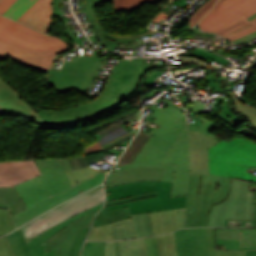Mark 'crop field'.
I'll list each match as a JSON object with an SVG mask.
<instances>
[{
  "label": "crop field",
  "instance_id": "7312dd0a",
  "mask_svg": "<svg viewBox=\"0 0 256 256\" xmlns=\"http://www.w3.org/2000/svg\"><path fill=\"white\" fill-rule=\"evenodd\" d=\"M166 99H168V98H166ZM173 98L171 97V98H169L168 100H171L172 102H173V100H172Z\"/></svg>",
  "mask_w": 256,
  "mask_h": 256
},
{
  "label": "crop field",
  "instance_id": "db79e9e6",
  "mask_svg": "<svg viewBox=\"0 0 256 256\" xmlns=\"http://www.w3.org/2000/svg\"><path fill=\"white\" fill-rule=\"evenodd\" d=\"M157 192L155 193H150V194H145V195H140V196H134V197H129V198H125V199H121V200H117V201H109L105 204L106 205H112V204H119V203H125V202H129V201H133V200H137V199H141V198H145V197H149V196H153L156 195Z\"/></svg>",
  "mask_w": 256,
  "mask_h": 256
},
{
  "label": "crop field",
  "instance_id": "92a150f3",
  "mask_svg": "<svg viewBox=\"0 0 256 256\" xmlns=\"http://www.w3.org/2000/svg\"><path fill=\"white\" fill-rule=\"evenodd\" d=\"M96 212L78 219L44 242L46 251L58 246L57 256H68L69 249L79 230L90 225Z\"/></svg>",
  "mask_w": 256,
  "mask_h": 256
},
{
  "label": "crop field",
  "instance_id": "ae1a2a85",
  "mask_svg": "<svg viewBox=\"0 0 256 256\" xmlns=\"http://www.w3.org/2000/svg\"><path fill=\"white\" fill-rule=\"evenodd\" d=\"M105 203V202H104ZM103 204V203H102ZM102 204L90 208L87 211L83 212V213H79L78 215L62 222L61 224L41 233L40 235L34 237L33 239H31L30 241H28V245L31 249L30 251V255L31 256H45V249H44V245L43 242L45 240H47L50 236L54 235L55 233H57L59 230H61L64 226L68 225L69 223L75 221L76 219H78L79 217L85 216L91 212H94L96 210H99L102 206ZM104 205V204H103Z\"/></svg>",
  "mask_w": 256,
  "mask_h": 256
},
{
  "label": "crop field",
  "instance_id": "f4fd0767",
  "mask_svg": "<svg viewBox=\"0 0 256 256\" xmlns=\"http://www.w3.org/2000/svg\"><path fill=\"white\" fill-rule=\"evenodd\" d=\"M100 50L93 49L91 57H74L73 62L65 61L61 70L51 68L46 73L47 83L58 93L76 90L83 94L89 89L96 72L107 59L98 58Z\"/></svg>",
  "mask_w": 256,
  "mask_h": 256
},
{
  "label": "crop field",
  "instance_id": "d1516ede",
  "mask_svg": "<svg viewBox=\"0 0 256 256\" xmlns=\"http://www.w3.org/2000/svg\"><path fill=\"white\" fill-rule=\"evenodd\" d=\"M163 163L177 164L171 197L186 195L189 179V136L186 129Z\"/></svg>",
  "mask_w": 256,
  "mask_h": 256
},
{
  "label": "crop field",
  "instance_id": "180be81f",
  "mask_svg": "<svg viewBox=\"0 0 256 256\" xmlns=\"http://www.w3.org/2000/svg\"><path fill=\"white\" fill-rule=\"evenodd\" d=\"M255 204H256V193H255Z\"/></svg>",
  "mask_w": 256,
  "mask_h": 256
},
{
  "label": "crop field",
  "instance_id": "1d83c4d3",
  "mask_svg": "<svg viewBox=\"0 0 256 256\" xmlns=\"http://www.w3.org/2000/svg\"><path fill=\"white\" fill-rule=\"evenodd\" d=\"M151 135L143 132L140 130L136 138L133 140V142L130 144V146L127 148L125 153L122 155V157L119 159L115 167L122 166L124 164L132 163L146 140Z\"/></svg>",
  "mask_w": 256,
  "mask_h": 256
},
{
  "label": "crop field",
  "instance_id": "d14b1444",
  "mask_svg": "<svg viewBox=\"0 0 256 256\" xmlns=\"http://www.w3.org/2000/svg\"><path fill=\"white\" fill-rule=\"evenodd\" d=\"M190 64H203V63L194 61V60H189V59H182L181 65H177V66H184V65H190Z\"/></svg>",
  "mask_w": 256,
  "mask_h": 256
},
{
  "label": "crop field",
  "instance_id": "34b2d1b8",
  "mask_svg": "<svg viewBox=\"0 0 256 256\" xmlns=\"http://www.w3.org/2000/svg\"><path fill=\"white\" fill-rule=\"evenodd\" d=\"M171 187L172 182L143 181L108 188L106 192L111 191V195H107V201L158 191L157 196L108 206V210L129 206L131 214H138L186 207V196L170 198Z\"/></svg>",
  "mask_w": 256,
  "mask_h": 256
},
{
  "label": "crop field",
  "instance_id": "5866460e",
  "mask_svg": "<svg viewBox=\"0 0 256 256\" xmlns=\"http://www.w3.org/2000/svg\"><path fill=\"white\" fill-rule=\"evenodd\" d=\"M160 256H177L174 232L156 237Z\"/></svg>",
  "mask_w": 256,
  "mask_h": 256
},
{
  "label": "crop field",
  "instance_id": "c035e120",
  "mask_svg": "<svg viewBox=\"0 0 256 256\" xmlns=\"http://www.w3.org/2000/svg\"><path fill=\"white\" fill-rule=\"evenodd\" d=\"M36 0H17L4 14L9 18L16 20L27 8H29Z\"/></svg>",
  "mask_w": 256,
  "mask_h": 256
},
{
  "label": "crop field",
  "instance_id": "425ffa30",
  "mask_svg": "<svg viewBox=\"0 0 256 256\" xmlns=\"http://www.w3.org/2000/svg\"><path fill=\"white\" fill-rule=\"evenodd\" d=\"M216 1L217 0H208L203 6L195 11L189 20V27L192 28L194 25L198 24L201 17L211 9Z\"/></svg>",
  "mask_w": 256,
  "mask_h": 256
},
{
  "label": "crop field",
  "instance_id": "ae633e8c",
  "mask_svg": "<svg viewBox=\"0 0 256 256\" xmlns=\"http://www.w3.org/2000/svg\"><path fill=\"white\" fill-rule=\"evenodd\" d=\"M253 25H254V24L249 23V24H247V25H245V26H243V27H241V28H239V29H237V30H235V31H233V32H231V33H229V34L223 36V37L226 38V37H228V36L234 35V34L240 32V31H243V30H245V29H247V28H249V27H251V26H253Z\"/></svg>",
  "mask_w": 256,
  "mask_h": 256
},
{
  "label": "crop field",
  "instance_id": "5a996713",
  "mask_svg": "<svg viewBox=\"0 0 256 256\" xmlns=\"http://www.w3.org/2000/svg\"><path fill=\"white\" fill-rule=\"evenodd\" d=\"M0 36L23 46L33 48H54L66 45L58 38L43 35L2 16H0ZM7 55L9 54L0 52V60Z\"/></svg>",
  "mask_w": 256,
  "mask_h": 256
},
{
  "label": "crop field",
  "instance_id": "8a807250",
  "mask_svg": "<svg viewBox=\"0 0 256 256\" xmlns=\"http://www.w3.org/2000/svg\"><path fill=\"white\" fill-rule=\"evenodd\" d=\"M164 66L167 65L144 64V58L123 60L114 66L102 93L93 101L63 110H42L38 113L48 125L88 120L108 112L134 92L147 71Z\"/></svg>",
  "mask_w": 256,
  "mask_h": 256
},
{
  "label": "crop field",
  "instance_id": "dafd665d",
  "mask_svg": "<svg viewBox=\"0 0 256 256\" xmlns=\"http://www.w3.org/2000/svg\"><path fill=\"white\" fill-rule=\"evenodd\" d=\"M240 231H242V248H240ZM216 244L225 245V249L256 248V229L216 228Z\"/></svg>",
  "mask_w": 256,
  "mask_h": 256
},
{
  "label": "crop field",
  "instance_id": "28ad6ade",
  "mask_svg": "<svg viewBox=\"0 0 256 256\" xmlns=\"http://www.w3.org/2000/svg\"><path fill=\"white\" fill-rule=\"evenodd\" d=\"M106 172L105 170L93 177H90L74 186H71L69 188H67L66 190L34 205L33 207L12 215V219L14 221V224L16 227L22 225L23 223L27 222L28 220L32 219L33 217H35L36 215L80 194L78 191H85L88 190L90 188H93L99 184L102 183L104 176H105Z\"/></svg>",
  "mask_w": 256,
  "mask_h": 256
},
{
  "label": "crop field",
  "instance_id": "a9b5d70f",
  "mask_svg": "<svg viewBox=\"0 0 256 256\" xmlns=\"http://www.w3.org/2000/svg\"><path fill=\"white\" fill-rule=\"evenodd\" d=\"M165 168L137 167L109 174L106 188L133 181L160 180Z\"/></svg>",
  "mask_w": 256,
  "mask_h": 256
},
{
  "label": "crop field",
  "instance_id": "e1f06a70",
  "mask_svg": "<svg viewBox=\"0 0 256 256\" xmlns=\"http://www.w3.org/2000/svg\"><path fill=\"white\" fill-rule=\"evenodd\" d=\"M7 238L17 256H29V247L19 229L7 235Z\"/></svg>",
  "mask_w": 256,
  "mask_h": 256
},
{
  "label": "crop field",
  "instance_id": "03da06ac",
  "mask_svg": "<svg viewBox=\"0 0 256 256\" xmlns=\"http://www.w3.org/2000/svg\"><path fill=\"white\" fill-rule=\"evenodd\" d=\"M114 238H136L132 223L112 226Z\"/></svg>",
  "mask_w": 256,
  "mask_h": 256
},
{
  "label": "crop field",
  "instance_id": "819c52e7",
  "mask_svg": "<svg viewBox=\"0 0 256 256\" xmlns=\"http://www.w3.org/2000/svg\"><path fill=\"white\" fill-rule=\"evenodd\" d=\"M2 0H0V2H1Z\"/></svg>",
  "mask_w": 256,
  "mask_h": 256
},
{
  "label": "crop field",
  "instance_id": "1d79db26",
  "mask_svg": "<svg viewBox=\"0 0 256 256\" xmlns=\"http://www.w3.org/2000/svg\"><path fill=\"white\" fill-rule=\"evenodd\" d=\"M0 256H15L6 236L0 238Z\"/></svg>",
  "mask_w": 256,
  "mask_h": 256
},
{
  "label": "crop field",
  "instance_id": "e1d0b9f6",
  "mask_svg": "<svg viewBox=\"0 0 256 256\" xmlns=\"http://www.w3.org/2000/svg\"><path fill=\"white\" fill-rule=\"evenodd\" d=\"M254 37H256V31H254V32H252V33H250L248 35H245V36H243L241 38H238V39H236V40H234L232 42H234L235 44H238V43H241L243 41H246V40L254 38Z\"/></svg>",
  "mask_w": 256,
  "mask_h": 256
},
{
  "label": "crop field",
  "instance_id": "ac0d7876",
  "mask_svg": "<svg viewBox=\"0 0 256 256\" xmlns=\"http://www.w3.org/2000/svg\"><path fill=\"white\" fill-rule=\"evenodd\" d=\"M231 178L190 174L187 191L188 227L207 226L212 206L227 198Z\"/></svg>",
  "mask_w": 256,
  "mask_h": 256
},
{
  "label": "crop field",
  "instance_id": "d9b57169",
  "mask_svg": "<svg viewBox=\"0 0 256 256\" xmlns=\"http://www.w3.org/2000/svg\"><path fill=\"white\" fill-rule=\"evenodd\" d=\"M8 83L0 77V108L3 112H13L47 125L38 113Z\"/></svg>",
  "mask_w": 256,
  "mask_h": 256
},
{
  "label": "crop field",
  "instance_id": "c5b07064",
  "mask_svg": "<svg viewBox=\"0 0 256 256\" xmlns=\"http://www.w3.org/2000/svg\"><path fill=\"white\" fill-rule=\"evenodd\" d=\"M56 251H57V248L49 251L46 253V256H56Z\"/></svg>",
  "mask_w": 256,
  "mask_h": 256
},
{
  "label": "crop field",
  "instance_id": "22f410ed",
  "mask_svg": "<svg viewBox=\"0 0 256 256\" xmlns=\"http://www.w3.org/2000/svg\"><path fill=\"white\" fill-rule=\"evenodd\" d=\"M256 12V0H229L210 16L200 22V29L213 32L232 20L243 16L248 17Z\"/></svg>",
  "mask_w": 256,
  "mask_h": 256
},
{
  "label": "crop field",
  "instance_id": "00972430",
  "mask_svg": "<svg viewBox=\"0 0 256 256\" xmlns=\"http://www.w3.org/2000/svg\"><path fill=\"white\" fill-rule=\"evenodd\" d=\"M151 146L145 144L132 164L119 167L120 169L118 170L132 168L136 166L166 167L161 180L172 181L176 165L161 164L164 158L166 157L167 153L160 151ZM118 170L115 168L111 172L118 171Z\"/></svg>",
  "mask_w": 256,
  "mask_h": 256
},
{
  "label": "crop field",
  "instance_id": "25e5ab78",
  "mask_svg": "<svg viewBox=\"0 0 256 256\" xmlns=\"http://www.w3.org/2000/svg\"><path fill=\"white\" fill-rule=\"evenodd\" d=\"M13 229H15V227L10 219L8 210L0 209V236Z\"/></svg>",
  "mask_w": 256,
  "mask_h": 256
},
{
  "label": "crop field",
  "instance_id": "f0312440",
  "mask_svg": "<svg viewBox=\"0 0 256 256\" xmlns=\"http://www.w3.org/2000/svg\"><path fill=\"white\" fill-rule=\"evenodd\" d=\"M177 106L182 107L181 104H179V105H177Z\"/></svg>",
  "mask_w": 256,
  "mask_h": 256
},
{
  "label": "crop field",
  "instance_id": "cbeb9de0",
  "mask_svg": "<svg viewBox=\"0 0 256 256\" xmlns=\"http://www.w3.org/2000/svg\"><path fill=\"white\" fill-rule=\"evenodd\" d=\"M150 109L155 111L153 116L158 118L154 123L161 127L149 133L152 136L146 143L169 153L183 130L187 128V124L154 107Z\"/></svg>",
  "mask_w": 256,
  "mask_h": 256
},
{
  "label": "crop field",
  "instance_id": "d8731c3e",
  "mask_svg": "<svg viewBox=\"0 0 256 256\" xmlns=\"http://www.w3.org/2000/svg\"><path fill=\"white\" fill-rule=\"evenodd\" d=\"M69 50H71L69 45L54 49L27 48L0 37V51L11 53L10 57L17 62L43 72L51 68L55 59L54 55Z\"/></svg>",
  "mask_w": 256,
  "mask_h": 256
},
{
  "label": "crop field",
  "instance_id": "750c4746",
  "mask_svg": "<svg viewBox=\"0 0 256 256\" xmlns=\"http://www.w3.org/2000/svg\"><path fill=\"white\" fill-rule=\"evenodd\" d=\"M0 208L10 209L11 214L26 209L14 187L0 188Z\"/></svg>",
  "mask_w": 256,
  "mask_h": 256
},
{
  "label": "crop field",
  "instance_id": "73cf0c24",
  "mask_svg": "<svg viewBox=\"0 0 256 256\" xmlns=\"http://www.w3.org/2000/svg\"><path fill=\"white\" fill-rule=\"evenodd\" d=\"M88 229H89V227L84 228L83 230L78 232V234L74 240V243L70 249L69 256H79Z\"/></svg>",
  "mask_w": 256,
  "mask_h": 256
},
{
  "label": "crop field",
  "instance_id": "5142ce71",
  "mask_svg": "<svg viewBox=\"0 0 256 256\" xmlns=\"http://www.w3.org/2000/svg\"><path fill=\"white\" fill-rule=\"evenodd\" d=\"M140 113L141 111L128 119H125L99 133L94 134L93 136L97 142L85 147L83 153L95 152L102 149L111 148L133 136L138 128L128 131L123 124L139 120Z\"/></svg>",
  "mask_w": 256,
  "mask_h": 256
},
{
  "label": "crop field",
  "instance_id": "9d1cf04e",
  "mask_svg": "<svg viewBox=\"0 0 256 256\" xmlns=\"http://www.w3.org/2000/svg\"><path fill=\"white\" fill-rule=\"evenodd\" d=\"M179 100L183 103L184 108L191 109L196 115L201 114V109L205 107L206 104H202L197 106L196 102L191 103L185 96L179 98Z\"/></svg>",
  "mask_w": 256,
  "mask_h": 256
},
{
  "label": "crop field",
  "instance_id": "eef30255",
  "mask_svg": "<svg viewBox=\"0 0 256 256\" xmlns=\"http://www.w3.org/2000/svg\"><path fill=\"white\" fill-rule=\"evenodd\" d=\"M106 244L105 256H147L143 239L109 241Z\"/></svg>",
  "mask_w": 256,
  "mask_h": 256
},
{
  "label": "crop field",
  "instance_id": "1f1604b0",
  "mask_svg": "<svg viewBox=\"0 0 256 256\" xmlns=\"http://www.w3.org/2000/svg\"><path fill=\"white\" fill-rule=\"evenodd\" d=\"M0 111H1V109H0ZM2 112V111H1Z\"/></svg>",
  "mask_w": 256,
  "mask_h": 256
},
{
  "label": "crop field",
  "instance_id": "dd49c442",
  "mask_svg": "<svg viewBox=\"0 0 256 256\" xmlns=\"http://www.w3.org/2000/svg\"><path fill=\"white\" fill-rule=\"evenodd\" d=\"M254 193L249 181L232 178L229 196L213 207L208 226H224L225 219L253 220Z\"/></svg>",
  "mask_w": 256,
  "mask_h": 256
},
{
  "label": "crop field",
  "instance_id": "412701ff",
  "mask_svg": "<svg viewBox=\"0 0 256 256\" xmlns=\"http://www.w3.org/2000/svg\"><path fill=\"white\" fill-rule=\"evenodd\" d=\"M209 174L241 178L256 183V176L246 172L256 166V144L233 139L231 143L220 141L208 149Z\"/></svg>",
  "mask_w": 256,
  "mask_h": 256
},
{
  "label": "crop field",
  "instance_id": "e52e79f7",
  "mask_svg": "<svg viewBox=\"0 0 256 256\" xmlns=\"http://www.w3.org/2000/svg\"><path fill=\"white\" fill-rule=\"evenodd\" d=\"M104 192L102 185L93 190L59 206L58 208L46 212L47 214L37 218L24 227L20 228L27 241L50 227L61 223L75 214L82 212L90 207L104 202Z\"/></svg>",
  "mask_w": 256,
  "mask_h": 256
},
{
  "label": "crop field",
  "instance_id": "214f88e0",
  "mask_svg": "<svg viewBox=\"0 0 256 256\" xmlns=\"http://www.w3.org/2000/svg\"><path fill=\"white\" fill-rule=\"evenodd\" d=\"M190 136V173L208 174L207 148L218 141L188 130Z\"/></svg>",
  "mask_w": 256,
  "mask_h": 256
},
{
  "label": "crop field",
  "instance_id": "c21b1889",
  "mask_svg": "<svg viewBox=\"0 0 256 256\" xmlns=\"http://www.w3.org/2000/svg\"><path fill=\"white\" fill-rule=\"evenodd\" d=\"M186 56L203 59L206 62H208L209 64L213 60H215L217 62L224 63V64L230 63L226 59H224V58H222V57H220V56H218V55H216L212 52H209V51L203 50V49H198V48H195L193 53H186Z\"/></svg>",
  "mask_w": 256,
  "mask_h": 256
},
{
  "label": "crop field",
  "instance_id": "bc2a9ffb",
  "mask_svg": "<svg viewBox=\"0 0 256 256\" xmlns=\"http://www.w3.org/2000/svg\"><path fill=\"white\" fill-rule=\"evenodd\" d=\"M40 174L33 160L0 163V187L14 186Z\"/></svg>",
  "mask_w": 256,
  "mask_h": 256
},
{
  "label": "crop field",
  "instance_id": "d23c7cc5",
  "mask_svg": "<svg viewBox=\"0 0 256 256\" xmlns=\"http://www.w3.org/2000/svg\"><path fill=\"white\" fill-rule=\"evenodd\" d=\"M147 1L149 0H115L114 7L116 11L122 9L124 11L131 12L133 9L141 6Z\"/></svg>",
  "mask_w": 256,
  "mask_h": 256
},
{
  "label": "crop field",
  "instance_id": "c3a83c6f",
  "mask_svg": "<svg viewBox=\"0 0 256 256\" xmlns=\"http://www.w3.org/2000/svg\"><path fill=\"white\" fill-rule=\"evenodd\" d=\"M246 256H256V251H247Z\"/></svg>",
  "mask_w": 256,
  "mask_h": 256
},
{
  "label": "crop field",
  "instance_id": "c39391a2",
  "mask_svg": "<svg viewBox=\"0 0 256 256\" xmlns=\"http://www.w3.org/2000/svg\"><path fill=\"white\" fill-rule=\"evenodd\" d=\"M228 0H218L217 1V3H216V5H215V7L213 8V10L210 12V13H208L205 17H203L202 18V20L204 19V18H206L208 15H210L213 11H215L217 8H219L221 5H223L225 2H227ZM201 20V21H202Z\"/></svg>",
  "mask_w": 256,
  "mask_h": 256
},
{
  "label": "crop field",
  "instance_id": "dbb93151",
  "mask_svg": "<svg viewBox=\"0 0 256 256\" xmlns=\"http://www.w3.org/2000/svg\"><path fill=\"white\" fill-rule=\"evenodd\" d=\"M144 240H145L147 255L148 256H159L158 247H157L155 237H147V238H144Z\"/></svg>",
  "mask_w": 256,
  "mask_h": 256
},
{
  "label": "crop field",
  "instance_id": "d3111659",
  "mask_svg": "<svg viewBox=\"0 0 256 256\" xmlns=\"http://www.w3.org/2000/svg\"><path fill=\"white\" fill-rule=\"evenodd\" d=\"M154 235L168 233L179 228L178 209L149 213Z\"/></svg>",
  "mask_w": 256,
  "mask_h": 256
},
{
  "label": "crop field",
  "instance_id": "7b73153f",
  "mask_svg": "<svg viewBox=\"0 0 256 256\" xmlns=\"http://www.w3.org/2000/svg\"><path fill=\"white\" fill-rule=\"evenodd\" d=\"M162 75V71H154L152 73H150L146 79L144 80L143 82V85L146 86L152 82H154V78H156L157 76H160ZM160 86H165L163 83H161V85H158V86H154V87H160ZM147 87V86H146ZM151 88V86H148Z\"/></svg>",
  "mask_w": 256,
  "mask_h": 256
},
{
  "label": "crop field",
  "instance_id": "4177f3b9",
  "mask_svg": "<svg viewBox=\"0 0 256 256\" xmlns=\"http://www.w3.org/2000/svg\"><path fill=\"white\" fill-rule=\"evenodd\" d=\"M53 16L52 0H41L21 21L38 31L50 33Z\"/></svg>",
  "mask_w": 256,
  "mask_h": 256
},
{
  "label": "crop field",
  "instance_id": "3316defc",
  "mask_svg": "<svg viewBox=\"0 0 256 256\" xmlns=\"http://www.w3.org/2000/svg\"><path fill=\"white\" fill-rule=\"evenodd\" d=\"M178 256H204L203 228L175 231ZM82 256H104L105 242H86Z\"/></svg>",
  "mask_w": 256,
  "mask_h": 256
},
{
  "label": "crop field",
  "instance_id": "5d738f31",
  "mask_svg": "<svg viewBox=\"0 0 256 256\" xmlns=\"http://www.w3.org/2000/svg\"><path fill=\"white\" fill-rule=\"evenodd\" d=\"M160 98L165 101L164 102V104H165L164 107L161 109V108L157 107L156 104H153L152 106H154V107H156V108H158L160 110H163V111H165V112H167V113H169V114L179 118L180 120L184 121L185 123H187L183 110L178 108L174 103L166 100L164 98V96H162ZM157 101H159V99L154 101V102H157Z\"/></svg>",
  "mask_w": 256,
  "mask_h": 256
},
{
  "label": "crop field",
  "instance_id": "730fd06b",
  "mask_svg": "<svg viewBox=\"0 0 256 256\" xmlns=\"http://www.w3.org/2000/svg\"><path fill=\"white\" fill-rule=\"evenodd\" d=\"M15 189L27 208L50 197L39 176L15 186Z\"/></svg>",
  "mask_w": 256,
  "mask_h": 256
},
{
  "label": "crop field",
  "instance_id": "447ae74e",
  "mask_svg": "<svg viewBox=\"0 0 256 256\" xmlns=\"http://www.w3.org/2000/svg\"><path fill=\"white\" fill-rule=\"evenodd\" d=\"M70 165H71V168L72 170H78V169H82V168H86V167H89L87 165V162L85 160V157L82 156H77V157H74L72 159H68Z\"/></svg>",
  "mask_w": 256,
  "mask_h": 256
},
{
  "label": "crop field",
  "instance_id": "4a817a6b",
  "mask_svg": "<svg viewBox=\"0 0 256 256\" xmlns=\"http://www.w3.org/2000/svg\"><path fill=\"white\" fill-rule=\"evenodd\" d=\"M34 161L42 173L40 178L51 196L71 186L59 159Z\"/></svg>",
  "mask_w": 256,
  "mask_h": 256
},
{
  "label": "crop field",
  "instance_id": "fb207236",
  "mask_svg": "<svg viewBox=\"0 0 256 256\" xmlns=\"http://www.w3.org/2000/svg\"><path fill=\"white\" fill-rule=\"evenodd\" d=\"M256 17V13L252 15L251 17L247 18L249 21Z\"/></svg>",
  "mask_w": 256,
  "mask_h": 256
},
{
  "label": "crop field",
  "instance_id": "c821d689",
  "mask_svg": "<svg viewBox=\"0 0 256 256\" xmlns=\"http://www.w3.org/2000/svg\"><path fill=\"white\" fill-rule=\"evenodd\" d=\"M251 250H253V249H251Z\"/></svg>",
  "mask_w": 256,
  "mask_h": 256
},
{
  "label": "crop field",
  "instance_id": "1f2cbd36",
  "mask_svg": "<svg viewBox=\"0 0 256 256\" xmlns=\"http://www.w3.org/2000/svg\"><path fill=\"white\" fill-rule=\"evenodd\" d=\"M53 10H54V16H59L65 29L66 32L70 35V37L74 40L75 43L79 44V45H83L84 44L81 42L80 38L76 39L74 34L72 33V31L69 29L65 19L63 18L61 11H60V0H53Z\"/></svg>",
  "mask_w": 256,
  "mask_h": 256
},
{
  "label": "crop field",
  "instance_id": "d32e631a",
  "mask_svg": "<svg viewBox=\"0 0 256 256\" xmlns=\"http://www.w3.org/2000/svg\"><path fill=\"white\" fill-rule=\"evenodd\" d=\"M60 160L63 164V167H64L66 174H67L72 185H74L92 175L99 173V171L101 170V168L97 169V168L90 167V168L72 172L67 159H60Z\"/></svg>",
  "mask_w": 256,
  "mask_h": 256
},
{
  "label": "crop field",
  "instance_id": "028f5c9d",
  "mask_svg": "<svg viewBox=\"0 0 256 256\" xmlns=\"http://www.w3.org/2000/svg\"><path fill=\"white\" fill-rule=\"evenodd\" d=\"M131 216L137 237L153 235L148 213Z\"/></svg>",
  "mask_w": 256,
  "mask_h": 256
},
{
  "label": "crop field",
  "instance_id": "b80d0937",
  "mask_svg": "<svg viewBox=\"0 0 256 256\" xmlns=\"http://www.w3.org/2000/svg\"><path fill=\"white\" fill-rule=\"evenodd\" d=\"M129 221H131V218L122 220V221H118V222H114L112 224H108V225H104V226L94 227L91 229L86 240H110V239H113L111 225L125 223V222H129Z\"/></svg>",
  "mask_w": 256,
  "mask_h": 256
},
{
  "label": "crop field",
  "instance_id": "b54c1fbb",
  "mask_svg": "<svg viewBox=\"0 0 256 256\" xmlns=\"http://www.w3.org/2000/svg\"><path fill=\"white\" fill-rule=\"evenodd\" d=\"M231 98L235 101L236 103V110L244 115L245 117L249 118L252 127H254V129H256V109L255 108H251L246 106L245 104H243L242 102L234 99V97L231 95V93H229Z\"/></svg>",
  "mask_w": 256,
  "mask_h": 256
},
{
  "label": "crop field",
  "instance_id": "78b8030e",
  "mask_svg": "<svg viewBox=\"0 0 256 256\" xmlns=\"http://www.w3.org/2000/svg\"><path fill=\"white\" fill-rule=\"evenodd\" d=\"M105 154H110V153H108L107 151L103 150V151H99V152L94 153V154L85 155V157L87 159L88 164L90 165V163L92 161L100 160Z\"/></svg>",
  "mask_w": 256,
  "mask_h": 256
},
{
  "label": "crop field",
  "instance_id": "bd1437ed",
  "mask_svg": "<svg viewBox=\"0 0 256 256\" xmlns=\"http://www.w3.org/2000/svg\"><path fill=\"white\" fill-rule=\"evenodd\" d=\"M205 256H245V251H222L215 249V228H204Z\"/></svg>",
  "mask_w": 256,
  "mask_h": 256
},
{
  "label": "crop field",
  "instance_id": "0f1d7ab4",
  "mask_svg": "<svg viewBox=\"0 0 256 256\" xmlns=\"http://www.w3.org/2000/svg\"><path fill=\"white\" fill-rule=\"evenodd\" d=\"M179 226L180 228L187 227L186 208L179 209Z\"/></svg>",
  "mask_w": 256,
  "mask_h": 256
},
{
  "label": "crop field",
  "instance_id": "0fb4a251",
  "mask_svg": "<svg viewBox=\"0 0 256 256\" xmlns=\"http://www.w3.org/2000/svg\"><path fill=\"white\" fill-rule=\"evenodd\" d=\"M16 0H3L0 3V14L3 15L6 10L15 2ZM37 0L28 10H26L16 21L20 22L22 18L39 2Z\"/></svg>",
  "mask_w": 256,
  "mask_h": 256
},
{
  "label": "crop field",
  "instance_id": "0bd39190",
  "mask_svg": "<svg viewBox=\"0 0 256 256\" xmlns=\"http://www.w3.org/2000/svg\"><path fill=\"white\" fill-rule=\"evenodd\" d=\"M250 22L256 24V18L254 20L250 21ZM247 23H249V21H247L246 19L241 17V18L233 21V23L223 27L222 29H220V30H218V31H216L214 33H217V34L223 36V35L231 32V31H233V30H235V29H237V28H239V27H241V26H243V25H245ZM254 30H256V25L251 27V28H249V29H247V30H245V31H243V32H240V33H238V34H236L234 36L228 37L227 39L232 41V40H234V39H236L238 37H241V36H243L245 34H248V33L252 32V31H254Z\"/></svg>",
  "mask_w": 256,
  "mask_h": 256
},
{
  "label": "crop field",
  "instance_id": "733c2abd",
  "mask_svg": "<svg viewBox=\"0 0 256 256\" xmlns=\"http://www.w3.org/2000/svg\"><path fill=\"white\" fill-rule=\"evenodd\" d=\"M103 1L113 2V0H85L86 14L88 16V19L92 22L95 30L98 33V34L89 36V39L91 40V42L96 41L94 37L100 36L101 39L105 41L107 49L113 51V49L115 48V46L117 45L118 42L128 43V42H131L132 38L137 37L139 35L140 36L148 35V37H150L151 35L156 33V31L152 32V31L144 28V29H142L132 35H128V36L115 37V36L109 34L106 30H104L100 26V24L95 16L94 6H99L100 3Z\"/></svg>",
  "mask_w": 256,
  "mask_h": 256
},
{
  "label": "crop field",
  "instance_id": "120bbe31",
  "mask_svg": "<svg viewBox=\"0 0 256 256\" xmlns=\"http://www.w3.org/2000/svg\"><path fill=\"white\" fill-rule=\"evenodd\" d=\"M130 217L131 216H130L128 207L107 211V206H106L100 212H98L92 227L112 223L114 221L130 218Z\"/></svg>",
  "mask_w": 256,
  "mask_h": 256
},
{
  "label": "crop field",
  "instance_id": "0765c3eb",
  "mask_svg": "<svg viewBox=\"0 0 256 256\" xmlns=\"http://www.w3.org/2000/svg\"><path fill=\"white\" fill-rule=\"evenodd\" d=\"M255 223H256V205H255L254 221L226 220L225 226L254 227Z\"/></svg>",
  "mask_w": 256,
  "mask_h": 256
},
{
  "label": "crop field",
  "instance_id": "89e229c0",
  "mask_svg": "<svg viewBox=\"0 0 256 256\" xmlns=\"http://www.w3.org/2000/svg\"><path fill=\"white\" fill-rule=\"evenodd\" d=\"M196 118L201 119L203 121H205L199 128L193 127L189 125V129L193 130V131H197V132H201L204 133L214 139H217L220 141V139L212 134H210L209 132L212 131L213 129H215L216 127H218V125H216L215 123L205 120L203 118H200L198 115L196 116Z\"/></svg>",
  "mask_w": 256,
  "mask_h": 256
},
{
  "label": "crop field",
  "instance_id": "ade564c9",
  "mask_svg": "<svg viewBox=\"0 0 256 256\" xmlns=\"http://www.w3.org/2000/svg\"><path fill=\"white\" fill-rule=\"evenodd\" d=\"M118 146H119V145H118ZM118 146H116V147H118ZM116 147L111 148V149H107V151L110 152V153H112V154H115V155H117V156H120L121 152H120V151H116V150H115Z\"/></svg>",
  "mask_w": 256,
  "mask_h": 256
}]
</instances>
